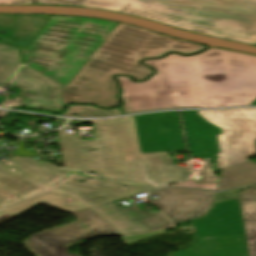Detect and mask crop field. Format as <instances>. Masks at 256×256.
<instances>
[{
  "label": "crop field",
  "instance_id": "crop-field-17",
  "mask_svg": "<svg viewBox=\"0 0 256 256\" xmlns=\"http://www.w3.org/2000/svg\"><path fill=\"white\" fill-rule=\"evenodd\" d=\"M147 184L189 179L187 167L169 165L167 152L141 154Z\"/></svg>",
  "mask_w": 256,
  "mask_h": 256
},
{
  "label": "crop field",
  "instance_id": "crop-field-32",
  "mask_svg": "<svg viewBox=\"0 0 256 256\" xmlns=\"http://www.w3.org/2000/svg\"><path fill=\"white\" fill-rule=\"evenodd\" d=\"M65 120L56 118L57 128L64 124Z\"/></svg>",
  "mask_w": 256,
  "mask_h": 256
},
{
  "label": "crop field",
  "instance_id": "crop-field-2",
  "mask_svg": "<svg viewBox=\"0 0 256 256\" xmlns=\"http://www.w3.org/2000/svg\"><path fill=\"white\" fill-rule=\"evenodd\" d=\"M206 46L182 41L152 31L118 24L89 60L60 92L64 104L93 103L111 107L118 103L114 74H128L135 80L152 71L137 63L139 59L160 56L167 51L184 54Z\"/></svg>",
  "mask_w": 256,
  "mask_h": 256
},
{
  "label": "crop field",
  "instance_id": "crop-field-19",
  "mask_svg": "<svg viewBox=\"0 0 256 256\" xmlns=\"http://www.w3.org/2000/svg\"><path fill=\"white\" fill-rule=\"evenodd\" d=\"M253 183H256V164L247 161L222 169L218 189L225 190Z\"/></svg>",
  "mask_w": 256,
  "mask_h": 256
},
{
  "label": "crop field",
  "instance_id": "crop-field-15",
  "mask_svg": "<svg viewBox=\"0 0 256 256\" xmlns=\"http://www.w3.org/2000/svg\"><path fill=\"white\" fill-rule=\"evenodd\" d=\"M49 17L0 14V41L28 49Z\"/></svg>",
  "mask_w": 256,
  "mask_h": 256
},
{
  "label": "crop field",
  "instance_id": "crop-field-25",
  "mask_svg": "<svg viewBox=\"0 0 256 256\" xmlns=\"http://www.w3.org/2000/svg\"><path fill=\"white\" fill-rule=\"evenodd\" d=\"M174 228L175 227L172 226V227L161 229V230H158V231H155V232H152V233H149V234H145V235L132 236V237L121 236V238L123 239L125 245H128V244L135 243V242H138V241H141V240H145V239H148V238H151V237H155V236H158V235H161V234H165V231L170 230V229H174ZM143 237H145V238L143 239Z\"/></svg>",
  "mask_w": 256,
  "mask_h": 256
},
{
  "label": "crop field",
  "instance_id": "crop-field-6",
  "mask_svg": "<svg viewBox=\"0 0 256 256\" xmlns=\"http://www.w3.org/2000/svg\"><path fill=\"white\" fill-rule=\"evenodd\" d=\"M193 222L199 242L175 256H247L238 200L217 203L205 218Z\"/></svg>",
  "mask_w": 256,
  "mask_h": 256
},
{
  "label": "crop field",
  "instance_id": "crop-field-30",
  "mask_svg": "<svg viewBox=\"0 0 256 256\" xmlns=\"http://www.w3.org/2000/svg\"><path fill=\"white\" fill-rule=\"evenodd\" d=\"M227 200H232V199H230V198H224V197L222 196V194L219 193V194L217 195V201H216V203H217V202H222V201H227Z\"/></svg>",
  "mask_w": 256,
  "mask_h": 256
},
{
  "label": "crop field",
  "instance_id": "crop-field-24",
  "mask_svg": "<svg viewBox=\"0 0 256 256\" xmlns=\"http://www.w3.org/2000/svg\"><path fill=\"white\" fill-rule=\"evenodd\" d=\"M211 159L205 160V166L200 169V174H203L201 178L198 180V184H205V183H216L217 176L213 174V170L210 165Z\"/></svg>",
  "mask_w": 256,
  "mask_h": 256
},
{
  "label": "crop field",
  "instance_id": "crop-field-26",
  "mask_svg": "<svg viewBox=\"0 0 256 256\" xmlns=\"http://www.w3.org/2000/svg\"><path fill=\"white\" fill-rule=\"evenodd\" d=\"M171 186L216 190V184L198 185L194 180H190V181H187V182H183V183L176 184V185H171Z\"/></svg>",
  "mask_w": 256,
  "mask_h": 256
},
{
  "label": "crop field",
  "instance_id": "crop-field-5",
  "mask_svg": "<svg viewBox=\"0 0 256 256\" xmlns=\"http://www.w3.org/2000/svg\"><path fill=\"white\" fill-rule=\"evenodd\" d=\"M117 23L93 18L52 16L28 50L23 63L66 86Z\"/></svg>",
  "mask_w": 256,
  "mask_h": 256
},
{
  "label": "crop field",
  "instance_id": "crop-field-12",
  "mask_svg": "<svg viewBox=\"0 0 256 256\" xmlns=\"http://www.w3.org/2000/svg\"><path fill=\"white\" fill-rule=\"evenodd\" d=\"M118 184L124 185L130 191L118 188ZM59 185L91 206L115 201L148 190L165 187V185L149 186L110 182L78 173L73 174Z\"/></svg>",
  "mask_w": 256,
  "mask_h": 256
},
{
  "label": "crop field",
  "instance_id": "crop-field-28",
  "mask_svg": "<svg viewBox=\"0 0 256 256\" xmlns=\"http://www.w3.org/2000/svg\"><path fill=\"white\" fill-rule=\"evenodd\" d=\"M249 188V187H246ZM245 189V188H241V189H235V190H230V191H224L223 194L225 197H235V198H239L238 195V191Z\"/></svg>",
  "mask_w": 256,
  "mask_h": 256
},
{
  "label": "crop field",
  "instance_id": "crop-field-21",
  "mask_svg": "<svg viewBox=\"0 0 256 256\" xmlns=\"http://www.w3.org/2000/svg\"><path fill=\"white\" fill-rule=\"evenodd\" d=\"M19 63L18 48L0 44V87L9 83Z\"/></svg>",
  "mask_w": 256,
  "mask_h": 256
},
{
  "label": "crop field",
  "instance_id": "crop-field-13",
  "mask_svg": "<svg viewBox=\"0 0 256 256\" xmlns=\"http://www.w3.org/2000/svg\"><path fill=\"white\" fill-rule=\"evenodd\" d=\"M10 85L22 89L19 96L26 99L21 106L54 111L64 108L59 94L64 87L24 65L17 71Z\"/></svg>",
  "mask_w": 256,
  "mask_h": 256
},
{
  "label": "crop field",
  "instance_id": "crop-field-14",
  "mask_svg": "<svg viewBox=\"0 0 256 256\" xmlns=\"http://www.w3.org/2000/svg\"><path fill=\"white\" fill-rule=\"evenodd\" d=\"M91 209L118 230L121 235H136L171 225V222L161 212L146 213L135 205L121 210L110 202L91 207Z\"/></svg>",
  "mask_w": 256,
  "mask_h": 256
},
{
  "label": "crop field",
  "instance_id": "crop-field-9",
  "mask_svg": "<svg viewBox=\"0 0 256 256\" xmlns=\"http://www.w3.org/2000/svg\"><path fill=\"white\" fill-rule=\"evenodd\" d=\"M78 221L49 229L27 237L24 247L35 256H78L67 250L78 243L97 235L120 234L90 208L71 212Z\"/></svg>",
  "mask_w": 256,
  "mask_h": 256
},
{
  "label": "crop field",
  "instance_id": "crop-field-8",
  "mask_svg": "<svg viewBox=\"0 0 256 256\" xmlns=\"http://www.w3.org/2000/svg\"><path fill=\"white\" fill-rule=\"evenodd\" d=\"M7 162L0 165V208L48 191L74 173L31 158H13V166Z\"/></svg>",
  "mask_w": 256,
  "mask_h": 256
},
{
  "label": "crop field",
  "instance_id": "crop-field-23",
  "mask_svg": "<svg viewBox=\"0 0 256 256\" xmlns=\"http://www.w3.org/2000/svg\"><path fill=\"white\" fill-rule=\"evenodd\" d=\"M30 1H41L52 4L79 5L83 0H0V4H27Z\"/></svg>",
  "mask_w": 256,
  "mask_h": 256
},
{
  "label": "crop field",
  "instance_id": "crop-field-11",
  "mask_svg": "<svg viewBox=\"0 0 256 256\" xmlns=\"http://www.w3.org/2000/svg\"><path fill=\"white\" fill-rule=\"evenodd\" d=\"M214 191L165 188L151 193L160 199L151 200L170 219L176 222L205 216L212 207Z\"/></svg>",
  "mask_w": 256,
  "mask_h": 256
},
{
  "label": "crop field",
  "instance_id": "crop-field-18",
  "mask_svg": "<svg viewBox=\"0 0 256 256\" xmlns=\"http://www.w3.org/2000/svg\"><path fill=\"white\" fill-rule=\"evenodd\" d=\"M67 198H71L73 202H66ZM38 203L45 204L66 213L90 207L88 204L84 203L63 189L61 186L57 185L43 195L28 199L19 204L1 210L0 216L4 214L17 216Z\"/></svg>",
  "mask_w": 256,
  "mask_h": 256
},
{
  "label": "crop field",
  "instance_id": "crop-field-22",
  "mask_svg": "<svg viewBox=\"0 0 256 256\" xmlns=\"http://www.w3.org/2000/svg\"><path fill=\"white\" fill-rule=\"evenodd\" d=\"M70 111L60 115L65 117H106V116H112V115H118L120 112L115 110H102V109H96L91 107H83V106H70ZM71 114H79L76 116H73Z\"/></svg>",
  "mask_w": 256,
  "mask_h": 256
},
{
  "label": "crop field",
  "instance_id": "crop-field-10",
  "mask_svg": "<svg viewBox=\"0 0 256 256\" xmlns=\"http://www.w3.org/2000/svg\"><path fill=\"white\" fill-rule=\"evenodd\" d=\"M134 118L141 153L186 150L178 111L137 115Z\"/></svg>",
  "mask_w": 256,
  "mask_h": 256
},
{
  "label": "crop field",
  "instance_id": "crop-field-7",
  "mask_svg": "<svg viewBox=\"0 0 256 256\" xmlns=\"http://www.w3.org/2000/svg\"><path fill=\"white\" fill-rule=\"evenodd\" d=\"M198 112L222 130L217 136L220 169L247 161L256 154V108Z\"/></svg>",
  "mask_w": 256,
  "mask_h": 256
},
{
  "label": "crop field",
  "instance_id": "crop-field-3",
  "mask_svg": "<svg viewBox=\"0 0 256 256\" xmlns=\"http://www.w3.org/2000/svg\"><path fill=\"white\" fill-rule=\"evenodd\" d=\"M81 6L119 11L200 34L256 44V0H86Z\"/></svg>",
  "mask_w": 256,
  "mask_h": 256
},
{
  "label": "crop field",
  "instance_id": "crop-field-20",
  "mask_svg": "<svg viewBox=\"0 0 256 256\" xmlns=\"http://www.w3.org/2000/svg\"><path fill=\"white\" fill-rule=\"evenodd\" d=\"M249 255L256 256V190L253 188L239 192Z\"/></svg>",
  "mask_w": 256,
  "mask_h": 256
},
{
  "label": "crop field",
  "instance_id": "crop-field-27",
  "mask_svg": "<svg viewBox=\"0 0 256 256\" xmlns=\"http://www.w3.org/2000/svg\"><path fill=\"white\" fill-rule=\"evenodd\" d=\"M24 142H21L20 147L16 153V156H37L38 154L32 149L30 151L24 149L22 145Z\"/></svg>",
  "mask_w": 256,
  "mask_h": 256
},
{
  "label": "crop field",
  "instance_id": "crop-field-31",
  "mask_svg": "<svg viewBox=\"0 0 256 256\" xmlns=\"http://www.w3.org/2000/svg\"><path fill=\"white\" fill-rule=\"evenodd\" d=\"M92 121H94V120H92ZM85 122H90V121L72 120L67 125H76V124L85 123Z\"/></svg>",
  "mask_w": 256,
  "mask_h": 256
},
{
  "label": "crop field",
  "instance_id": "crop-field-1",
  "mask_svg": "<svg viewBox=\"0 0 256 256\" xmlns=\"http://www.w3.org/2000/svg\"><path fill=\"white\" fill-rule=\"evenodd\" d=\"M157 71L150 80L133 83L117 77L132 110L168 107L256 105V56L210 48L185 57L169 54L144 61Z\"/></svg>",
  "mask_w": 256,
  "mask_h": 256
},
{
  "label": "crop field",
  "instance_id": "crop-field-4",
  "mask_svg": "<svg viewBox=\"0 0 256 256\" xmlns=\"http://www.w3.org/2000/svg\"><path fill=\"white\" fill-rule=\"evenodd\" d=\"M97 140L59 130L64 168L111 181L146 184L133 117L93 122Z\"/></svg>",
  "mask_w": 256,
  "mask_h": 256
},
{
  "label": "crop field",
  "instance_id": "crop-field-29",
  "mask_svg": "<svg viewBox=\"0 0 256 256\" xmlns=\"http://www.w3.org/2000/svg\"><path fill=\"white\" fill-rule=\"evenodd\" d=\"M122 100H123V103H124V105L122 107L123 113L132 112L129 98H122Z\"/></svg>",
  "mask_w": 256,
  "mask_h": 256
},
{
  "label": "crop field",
  "instance_id": "crop-field-16",
  "mask_svg": "<svg viewBox=\"0 0 256 256\" xmlns=\"http://www.w3.org/2000/svg\"><path fill=\"white\" fill-rule=\"evenodd\" d=\"M182 115L191 155L214 158V135L219 133L218 129L198 117L196 111H182Z\"/></svg>",
  "mask_w": 256,
  "mask_h": 256
}]
</instances>
